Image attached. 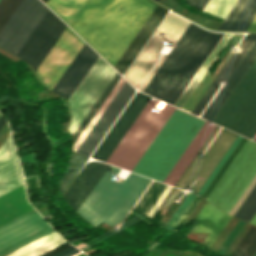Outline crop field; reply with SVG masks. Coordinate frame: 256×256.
Instances as JSON below:
<instances>
[{"label":"crop field","mask_w":256,"mask_h":256,"mask_svg":"<svg viewBox=\"0 0 256 256\" xmlns=\"http://www.w3.org/2000/svg\"><path fill=\"white\" fill-rule=\"evenodd\" d=\"M120 75H118L116 73V75L114 76V78L111 80V82L109 83V85L107 86V88L104 90V92L102 93V95L100 96V98L97 100V102L95 103V105L93 106V108L90 110V112L88 113V115L86 116V118L83 120V122L81 123V125L79 126V128L76 130V132L74 133V138L75 141L77 140V138L79 137V135L81 134V132L84 130V128L86 127V125L89 123V121L91 120V118L93 117V115L96 113V111L98 110V108L101 106V104L103 103V101L105 100V98L108 96V94L110 93V91L113 89V87L115 86V84L117 83V81L120 79Z\"/></svg>","instance_id":"33"},{"label":"crop field","mask_w":256,"mask_h":256,"mask_svg":"<svg viewBox=\"0 0 256 256\" xmlns=\"http://www.w3.org/2000/svg\"><path fill=\"white\" fill-rule=\"evenodd\" d=\"M5 121H6V120H4V119L2 118V116H1V118H0V129H1V127L3 126V124L5 123Z\"/></svg>","instance_id":"48"},{"label":"crop field","mask_w":256,"mask_h":256,"mask_svg":"<svg viewBox=\"0 0 256 256\" xmlns=\"http://www.w3.org/2000/svg\"><path fill=\"white\" fill-rule=\"evenodd\" d=\"M155 1H158V0H155ZM190 4H192L194 7L197 5V3L199 2V0H187ZM191 5V6H192ZM192 6V7H193Z\"/></svg>","instance_id":"47"},{"label":"crop field","mask_w":256,"mask_h":256,"mask_svg":"<svg viewBox=\"0 0 256 256\" xmlns=\"http://www.w3.org/2000/svg\"><path fill=\"white\" fill-rule=\"evenodd\" d=\"M134 92L135 89L125 81L89 135L79 147L77 153L90 156Z\"/></svg>","instance_id":"16"},{"label":"crop field","mask_w":256,"mask_h":256,"mask_svg":"<svg viewBox=\"0 0 256 256\" xmlns=\"http://www.w3.org/2000/svg\"><path fill=\"white\" fill-rule=\"evenodd\" d=\"M255 141H256V138H255Z\"/></svg>","instance_id":"52"},{"label":"crop field","mask_w":256,"mask_h":256,"mask_svg":"<svg viewBox=\"0 0 256 256\" xmlns=\"http://www.w3.org/2000/svg\"><path fill=\"white\" fill-rule=\"evenodd\" d=\"M84 43L82 39L67 27L36 69L35 72L40 81L52 90Z\"/></svg>","instance_id":"12"},{"label":"crop field","mask_w":256,"mask_h":256,"mask_svg":"<svg viewBox=\"0 0 256 256\" xmlns=\"http://www.w3.org/2000/svg\"><path fill=\"white\" fill-rule=\"evenodd\" d=\"M237 0H210L204 11L225 19Z\"/></svg>","instance_id":"35"},{"label":"crop field","mask_w":256,"mask_h":256,"mask_svg":"<svg viewBox=\"0 0 256 256\" xmlns=\"http://www.w3.org/2000/svg\"><path fill=\"white\" fill-rule=\"evenodd\" d=\"M77 256H86V255H84V254L81 253V254H79V255H77Z\"/></svg>","instance_id":"50"},{"label":"crop field","mask_w":256,"mask_h":256,"mask_svg":"<svg viewBox=\"0 0 256 256\" xmlns=\"http://www.w3.org/2000/svg\"><path fill=\"white\" fill-rule=\"evenodd\" d=\"M157 102V100L148 102L107 163L132 171L175 109L166 104L163 110L157 114L153 109Z\"/></svg>","instance_id":"5"},{"label":"crop field","mask_w":256,"mask_h":256,"mask_svg":"<svg viewBox=\"0 0 256 256\" xmlns=\"http://www.w3.org/2000/svg\"><path fill=\"white\" fill-rule=\"evenodd\" d=\"M255 256H256V254H255Z\"/></svg>","instance_id":"53"},{"label":"crop field","mask_w":256,"mask_h":256,"mask_svg":"<svg viewBox=\"0 0 256 256\" xmlns=\"http://www.w3.org/2000/svg\"><path fill=\"white\" fill-rule=\"evenodd\" d=\"M167 10L158 6L152 12L148 20L145 22L141 30L138 32L134 40L131 42L127 50L124 52L120 60L115 65V69L124 75L131 63L134 61L138 53L141 51L145 43L153 34L157 26L160 24L164 16L167 14Z\"/></svg>","instance_id":"19"},{"label":"crop field","mask_w":256,"mask_h":256,"mask_svg":"<svg viewBox=\"0 0 256 256\" xmlns=\"http://www.w3.org/2000/svg\"><path fill=\"white\" fill-rule=\"evenodd\" d=\"M86 0H48L47 5L68 25Z\"/></svg>","instance_id":"28"},{"label":"crop field","mask_w":256,"mask_h":256,"mask_svg":"<svg viewBox=\"0 0 256 256\" xmlns=\"http://www.w3.org/2000/svg\"><path fill=\"white\" fill-rule=\"evenodd\" d=\"M247 31H254V32H256V17L253 20V22L251 23V25L249 26V28L247 29Z\"/></svg>","instance_id":"45"},{"label":"crop field","mask_w":256,"mask_h":256,"mask_svg":"<svg viewBox=\"0 0 256 256\" xmlns=\"http://www.w3.org/2000/svg\"><path fill=\"white\" fill-rule=\"evenodd\" d=\"M108 167L102 162L87 163L64 194L68 204L77 210ZM118 171L110 166L77 210L96 226L104 222L115 228L151 182V179L130 173L121 183H115L113 179Z\"/></svg>","instance_id":"1"},{"label":"crop field","mask_w":256,"mask_h":256,"mask_svg":"<svg viewBox=\"0 0 256 256\" xmlns=\"http://www.w3.org/2000/svg\"><path fill=\"white\" fill-rule=\"evenodd\" d=\"M256 212V185L247 196L245 201L239 207L237 212L234 214V217L245 220L249 222L254 213ZM251 221V220H250Z\"/></svg>","instance_id":"34"},{"label":"crop field","mask_w":256,"mask_h":256,"mask_svg":"<svg viewBox=\"0 0 256 256\" xmlns=\"http://www.w3.org/2000/svg\"><path fill=\"white\" fill-rule=\"evenodd\" d=\"M21 184V170L9 134L0 148V195Z\"/></svg>","instance_id":"20"},{"label":"crop field","mask_w":256,"mask_h":256,"mask_svg":"<svg viewBox=\"0 0 256 256\" xmlns=\"http://www.w3.org/2000/svg\"><path fill=\"white\" fill-rule=\"evenodd\" d=\"M68 246H70V245L66 242V243H64V244L54 248L53 250H51V251H49V252H47V253H45V254H43L41 256H50V255H52V254H54V253H56V252H58V251H60V250H62L64 248H66Z\"/></svg>","instance_id":"43"},{"label":"crop field","mask_w":256,"mask_h":256,"mask_svg":"<svg viewBox=\"0 0 256 256\" xmlns=\"http://www.w3.org/2000/svg\"><path fill=\"white\" fill-rule=\"evenodd\" d=\"M98 56L85 43L52 91L65 96L67 100Z\"/></svg>","instance_id":"18"},{"label":"crop field","mask_w":256,"mask_h":256,"mask_svg":"<svg viewBox=\"0 0 256 256\" xmlns=\"http://www.w3.org/2000/svg\"><path fill=\"white\" fill-rule=\"evenodd\" d=\"M47 10L39 0H23L0 32V46L16 56Z\"/></svg>","instance_id":"11"},{"label":"crop field","mask_w":256,"mask_h":256,"mask_svg":"<svg viewBox=\"0 0 256 256\" xmlns=\"http://www.w3.org/2000/svg\"><path fill=\"white\" fill-rule=\"evenodd\" d=\"M66 27L48 10L16 57L31 65L35 71Z\"/></svg>","instance_id":"13"},{"label":"crop field","mask_w":256,"mask_h":256,"mask_svg":"<svg viewBox=\"0 0 256 256\" xmlns=\"http://www.w3.org/2000/svg\"><path fill=\"white\" fill-rule=\"evenodd\" d=\"M223 213L224 212L207 202L196 217V221L190 233L210 232Z\"/></svg>","instance_id":"27"},{"label":"crop field","mask_w":256,"mask_h":256,"mask_svg":"<svg viewBox=\"0 0 256 256\" xmlns=\"http://www.w3.org/2000/svg\"><path fill=\"white\" fill-rule=\"evenodd\" d=\"M256 59V41L253 43L251 48L248 50L246 55L240 61L238 66L235 68L233 73L227 79L228 86L226 88L222 87L217 96L214 98L210 106L207 108L205 113L202 115V118L212 121L217 112L220 110L224 102L227 100L229 95L232 93L234 88L237 86L241 78L244 76L246 71L249 69L251 64Z\"/></svg>","instance_id":"21"},{"label":"crop field","mask_w":256,"mask_h":256,"mask_svg":"<svg viewBox=\"0 0 256 256\" xmlns=\"http://www.w3.org/2000/svg\"><path fill=\"white\" fill-rule=\"evenodd\" d=\"M256 253V227L251 225L231 256H254Z\"/></svg>","instance_id":"30"},{"label":"crop field","mask_w":256,"mask_h":256,"mask_svg":"<svg viewBox=\"0 0 256 256\" xmlns=\"http://www.w3.org/2000/svg\"><path fill=\"white\" fill-rule=\"evenodd\" d=\"M256 16V0H238L219 30L246 31Z\"/></svg>","instance_id":"22"},{"label":"crop field","mask_w":256,"mask_h":256,"mask_svg":"<svg viewBox=\"0 0 256 256\" xmlns=\"http://www.w3.org/2000/svg\"><path fill=\"white\" fill-rule=\"evenodd\" d=\"M191 23L143 90L172 105L223 35Z\"/></svg>","instance_id":"2"},{"label":"crop field","mask_w":256,"mask_h":256,"mask_svg":"<svg viewBox=\"0 0 256 256\" xmlns=\"http://www.w3.org/2000/svg\"><path fill=\"white\" fill-rule=\"evenodd\" d=\"M118 0H87L70 27L87 43Z\"/></svg>","instance_id":"17"},{"label":"crop field","mask_w":256,"mask_h":256,"mask_svg":"<svg viewBox=\"0 0 256 256\" xmlns=\"http://www.w3.org/2000/svg\"><path fill=\"white\" fill-rule=\"evenodd\" d=\"M250 223H253L256 225V214L253 216V218L251 219Z\"/></svg>","instance_id":"49"},{"label":"crop field","mask_w":256,"mask_h":256,"mask_svg":"<svg viewBox=\"0 0 256 256\" xmlns=\"http://www.w3.org/2000/svg\"><path fill=\"white\" fill-rule=\"evenodd\" d=\"M78 252H80V251H78L77 249H75L74 247L71 246L53 256H70V255L78 253Z\"/></svg>","instance_id":"42"},{"label":"crop field","mask_w":256,"mask_h":256,"mask_svg":"<svg viewBox=\"0 0 256 256\" xmlns=\"http://www.w3.org/2000/svg\"><path fill=\"white\" fill-rule=\"evenodd\" d=\"M203 123L176 109L133 172L163 182Z\"/></svg>","instance_id":"3"},{"label":"crop field","mask_w":256,"mask_h":256,"mask_svg":"<svg viewBox=\"0 0 256 256\" xmlns=\"http://www.w3.org/2000/svg\"><path fill=\"white\" fill-rule=\"evenodd\" d=\"M208 1H209V0H200V2L198 3V5L196 6V8L203 10V8L205 7V5L207 4Z\"/></svg>","instance_id":"44"},{"label":"crop field","mask_w":256,"mask_h":256,"mask_svg":"<svg viewBox=\"0 0 256 256\" xmlns=\"http://www.w3.org/2000/svg\"><path fill=\"white\" fill-rule=\"evenodd\" d=\"M166 57V54H164L161 59L158 61V63L155 65V67L153 68V70L151 71V73L149 74V76L146 78V80L143 82V84L140 86L139 90L142 91V89L145 87V85L147 84V82L150 80V78L152 77V75L155 73V71L157 70V68L159 67V65L161 64V62L164 60V58Z\"/></svg>","instance_id":"41"},{"label":"crop field","mask_w":256,"mask_h":256,"mask_svg":"<svg viewBox=\"0 0 256 256\" xmlns=\"http://www.w3.org/2000/svg\"><path fill=\"white\" fill-rule=\"evenodd\" d=\"M42 1L46 3L47 0H42Z\"/></svg>","instance_id":"51"},{"label":"crop field","mask_w":256,"mask_h":256,"mask_svg":"<svg viewBox=\"0 0 256 256\" xmlns=\"http://www.w3.org/2000/svg\"><path fill=\"white\" fill-rule=\"evenodd\" d=\"M247 142V139L243 138L240 140V142L237 144V146L235 147V149L233 150V152L230 154V156L228 157V159L226 160V162L223 164V166L221 167V169L219 170V172L216 174V176L214 177V179L212 180V182L209 184V186L207 187V189L205 190V192L202 194V198L206 199V197L209 195V193L211 192V190L214 188V186L216 185V183L219 181V179L221 178V176L224 174V172L226 171V169L229 167V165L232 163V161L234 160V158L237 156V154L239 153V151L242 149V147L244 146V144Z\"/></svg>","instance_id":"36"},{"label":"crop field","mask_w":256,"mask_h":256,"mask_svg":"<svg viewBox=\"0 0 256 256\" xmlns=\"http://www.w3.org/2000/svg\"><path fill=\"white\" fill-rule=\"evenodd\" d=\"M22 0L0 1V31Z\"/></svg>","instance_id":"37"},{"label":"crop field","mask_w":256,"mask_h":256,"mask_svg":"<svg viewBox=\"0 0 256 256\" xmlns=\"http://www.w3.org/2000/svg\"><path fill=\"white\" fill-rule=\"evenodd\" d=\"M233 34H229V33H224V35L222 36V38L219 40V42L217 43V45L215 46V48L212 50V52L210 53V55L208 56V58L205 60V62L203 63V65L201 66V68L198 70V72L196 73V75L194 76V78L191 80V82L189 83V85L187 86V88L184 90V92L182 93V95L180 96V98L177 100V102L175 103V106L181 108V106L184 104V102L186 101V99L189 97V95L192 93V91L194 90V88L197 86V84L199 83V81L202 79V77L204 76V74L207 72V70L210 68V66L212 65V63L215 61V59L217 58V56L220 54V52L222 51V49L225 47V45L227 44V42L230 40V38L232 37Z\"/></svg>","instance_id":"25"},{"label":"crop field","mask_w":256,"mask_h":256,"mask_svg":"<svg viewBox=\"0 0 256 256\" xmlns=\"http://www.w3.org/2000/svg\"><path fill=\"white\" fill-rule=\"evenodd\" d=\"M149 99L137 92L91 157L106 162Z\"/></svg>","instance_id":"15"},{"label":"crop field","mask_w":256,"mask_h":256,"mask_svg":"<svg viewBox=\"0 0 256 256\" xmlns=\"http://www.w3.org/2000/svg\"><path fill=\"white\" fill-rule=\"evenodd\" d=\"M161 183V182H160ZM153 181L140 201L134 207V210L146 215L154 205L158 197L161 195L166 185Z\"/></svg>","instance_id":"29"},{"label":"crop field","mask_w":256,"mask_h":256,"mask_svg":"<svg viewBox=\"0 0 256 256\" xmlns=\"http://www.w3.org/2000/svg\"><path fill=\"white\" fill-rule=\"evenodd\" d=\"M196 195L194 194H190L188 193V195L186 196V198L184 199V201L181 203V205L179 206V208L177 209V211L175 212V214L173 215V217L170 219V221L168 222V224L166 225V228L172 230V228L175 226V224L177 223V221L180 219V217L182 216V214L185 212V210L187 209V207L190 205V203L192 202V200L195 198Z\"/></svg>","instance_id":"38"},{"label":"crop field","mask_w":256,"mask_h":256,"mask_svg":"<svg viewBox=\"0 0 256 256\" xmlns=\"http://www.w3.org/2000/svg\"><path fill=\"white\" fill-rule=\"evenodd\" d=\"M213 122L245 135H256V60Z\"/></svg>","instance_id":"6"},{"label":"crop field","mask_w":256,"mask_h":256,"mask_svg":"<svg viewBox=\"0 0 256 256\" xmlns=\"http://www.w3.org/2000/svg\"><path fill=\"white\" fill-rule=\"evenodd\" d=\"M213 128L203 125L198 134L195 136L193 141L190 143L186 151L183 153L179 161L176 163L174 168L171 170L164 183L174 186L181 174L184 172L186 167L189 165L193 157L196 155L200 147L203 145L205 140L208 138Z\"/></svg>","instance_id":"24"},{"label":"crop field","mask_w":256,"mask_h":256,"mask_svg":"<svg viewBox=\"0 0 256 256\" xmlns=\"http://www.w3.org/2000/svg\"><path fill=\"white\" fill-rule=\"evenodd\" d=\"M124 79L121 77V79L118 81V83L116 84V86L114 87V89L111 91V93L109 94V96L107 97V99L104 101V103L102 104V106L99 108V110L97 111V113L95 114V116L92 118V120L90 121V123L88 124V126L85 128V130L83 131V133L81 134V136L78 138V140L75 142L74 146H73V150L76 152V150L78 149V147L81 145V143L83 142V140L85 139V137L87 136V134L90 132V130L92 129V127L94 126V124L97 122V120L99 119V117L101 116V114L103 113V111L106 109V107L108 106V104L110 103V101L112 100V98L115 96V94L117 93V91L119 90V88L122 86V84L124 83Z\"/></svg>","instance_id":"32"},{"label":"crop field","mask_w":256,"mask_h":256,"mask_svg":"<svg viewBox=\"0 0 256 256\" xmlns=\"http://www.w3.org/2000/svg\"><path fill=\"white\" fill-rule=\"evenodd\" d=\"M66 242L62 237H60L55 231L14 251L13 253L7 256H24L31 252H34L40 248V250L32 253L29 256H38L62 243Z\"/></svg>","instance_id":"26"},{"label":"crop field","mask_w":256,"mask_h":256,"mask_svg":"<svg viewBox=\"0 0 256 256\" xmlns=\"http://www.w3.org/2000/svg\"><path fill=\"white\" fill-rule=\"evenodd\" d=\"M255 174L256 143L248 140L206 200L228 213Z\"/></svg>","instance_id":"7"},{"label":"crop field","mask_w":256,"mask_h":256,"mask_svg":"<svg viewBox=\"0 0 256 256\" xmlns=\"http://www.w3.org/2000/svg\"><path fill=\"white\" fill-rule=\"evenodd\" d=\"M51 231L53 229L34 210L0 227V256H5Z\"/></svg>","instance_id":"14"},{"label":"crop field","mask_w":256,"mask_h":256,"mask_svg":"<svg viewBox=\"0 0 256 256\" xmlns=\"http://www.w3.org/2000/svg\"><path fill=\"white\" fill-rule=\"evenodd\" d=\"M219 130L220 127L216 126L207 141L204 143L178 182L175 184V187L183 189L184 185L187 184L198 189L197 192L200 190L202 185L205 183L207 178L210 176L212 171L215 169L219 161L222 159L238 135L223 129L215 142L206 152V155H208L206 160L203 161L197 158L200 152L204 153Z\"/></svg>","instance_id":"10"},{"label":"crop field","mask_w":256,"mask_h":256,"mask_svg":"<svg viewBox=\"0 0 256 256\" xmlns=\"http://www.w3.org/2000/svg\"><path fill=\"white\" fill-rule=\"evenodd\" d=\"M241 139L240 136H238V138L235 140V142L233 143V145L230 147V149L228 150V152L225 154V156L223 157V159L220 161V163L218 164V166L216 167V169L213 171V173L211 174V176L208 178V180L206 181V183L203 185V187L201 188V190L198 192V195L201 196V194L203 193V191L206 189V187L208 186V184L210 183V181L213 179V177L215 176V174L217 173V171L220 169V167L222 166V164L224 163V161L227 159V157L229 156V154L231 153V151L234 149V147L236 146V144L238 143V141Z\"/></svg>","instance_id":"39"},{"label":"crop field","mask_w":256,"mask_h":256,"mask_svg":"<svg viewBox=\"0 0 256 256\" xmlns=\"http://www.w3.org/2000/svg\"><path fill=\"white\" fill-rule=\"evenodd\" d=\"M179 256H200V255H198L197 253H195V252H192V251H185V252H183L181 255H179Z\"/></svg>","instance_id":"46"},{"label":"crop field","mask_w":256,"mask_h":256,"mask_svg":"<svg viewBox=\"0 0 256 256\" xmlns=\"http://www.w3.org/2000/svg\"><path fill=\"white\" fill-rule=\"evenodd\" d=\"M189 23L190 22L169 12L136 60L125 73L124 78L138 88L146 74L158 59L160 54L157 53L161 46L167 41L173 42L174 45Z\"/></svg>","instance_id":"8"},{"label":"crop field","mask_w":256,"mask_h":256,"mask_svg":"<svg viewBox=\"0 0 256 256\" xmlns=\"http://www.w3.org/2000/svg\"><path fill=\"white\" fill-rule=\"evenodd\" d=\"M87 159L88 158L76 154L68 160L69 161V169H68L67 173L65 174V176L63 178H61V180L59 182L60 191H61L62 195L66 191V189L68 188L70 183L73 181V179L75 178L77 173L80 171V169L82 168L84 163L87 161Z\"/></svg>","instance_id":"31"},{"label":"crop field","mask_w":256,"mask_h":256,"mask_svg":"<svg viewBox=\"0 0 256 256\" xmlns=\"http://www.w3.org/2000/svg\"><path fill=\"white\" fill-rule=\"evenodd\" d=\"M155 7L150 0H119L88 44L114 67Z\"/></svg>","instance_id":"4"},{"label":"crop field","mask_w":256,"mask_h":256,"mask_svg":"<svg viewBox=\"0 0 256 256\" xmlns=\"http://www.w3.org/2000/svg\"><path fill=\"white\" fill-rule=\"evenodd\" d=\"M256 35L253 34H247V36L244 38L242 43L239 45V48L243 49L241 53L238 56L232 55L230 60L227 62L223 70L220 72L214 83L211 85L205 96L202 98L198 106L193 111V114H196L199 116V114L202 112L204 107L207 105L211 97L214 95L216 90L219 88V85L222 80L226 81V79L229 77V75L232 73L234 68L237 66L239 61L242 59V57L245 55L247 50L250 48L252 43L255 41Z\"/></svg>","instance_id":"23"},{"label":"crop field","mask_w":256,"mask_h":256,"mask_svg":"<svg viewBox=\"0 0 256 256\" xmlns=\"http://www.w3.org/2000/svg\"><path fill=\"white\" fill-rule=\"evenodd\" d=\"M115 73L116 72L99 56L67 101L73 116L69 126V132L71 134L76 130ZM90 104L91 106H89Z\"/></svg>","instance_id":"9"},{"label":"crop field","mask_w":256,"mask_h":256,"mask_svg":"<svg viewBox=\"0 0 256 256\" xmlns=\"http://www.w3.org/2000/svg\"><path fill=\"white\" fill-rule=\"evenodd\" d=\"M201 198L197 197L193 200V202L191 203V205L188 207V209L186 210V212L183 214V216L181 217V219L178 221V223L176 224V226L173 228V231L177 232V230L180 228V226L183 224V222L186 220V218L188 217V215L191 213V211L194 209V207L197 205V203L200 201Z\"/></svg>","instance_id":"40"}]
</instances>
